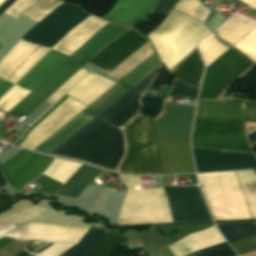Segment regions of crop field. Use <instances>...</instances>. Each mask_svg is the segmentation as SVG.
<instances>
[{
	"label": "crop field",
	"mask_w": 256,
	"mask_h": 256,
	"mask_svg": "<svg viewBox=\"0 0 256 256\" xmlns=\"http://www.w3.org/2000/svg\"><path fill=\"white\" fill-rule=\"evenodd\" d=\"M160 69L161 66L157 67L52 155L115 171L124 154L122 127L142 109L140 94Z\"/></svg>",
	"instance_id": "crop-field-1"
},
{
	"label": "crop field",
	"mask_w": 256,
	"mask_h": 256,
	"mask_svg": "<svg viewBox=\"0 0 256 256\" xmlns=\"http://www.w3.org/2000/svg\"><path fill=\"white\" fill-rule=\"evenodd\" d=\"M191 146L252 152L244 122L195 118ZM192 148L197 172L256 168L253 153Z\"/></svg>",
	"instance_id": "crop-field-2"
},
{
	"label": "crop field",
	"mask_w": 256,
	"mask_h": 256,
	"mask_svg": "<svg viewBox=\"0 0 256 256\" xmlns=\"http://www.w3.org/2000/svg\"><path fill=\"white\" fill-rule=\"evenodd\" d=\"M89 15L90 14L88 12L84 11L80 7L64 2L29 30L21 40L51 49L66 32ZM21 40H19L0 61V77L5 80H7L27 59V57L38 48V46ZM41 47L35 50L28 57L20 68L8 79V81L15 83L49 51V49ZM1 78L0 85L5 82V80ZM8 81L0 86V96H2L13 85V83Z\"/></svg>",
	"instance_id": "crop-field-3"
},
{
	"label": "crop field",
	"mask_w": 256,
	"mask_h": 256,
	"mask_svg": "<svg viewBox=\"0 0 256 256\" xmlns=\"http://www.w3.org/2000/svg\"><path fill=\"white\" fill-rule=\"evenodd\" d=\"M174 9L202 22L209 12L197 0H178ZM209 33L201 23L172 11L149 37L169 70L196 47L197 40Z\"/></svg>",
	"instance_id": "crop-field-4"
},
{
	"label": "crop field",
	"mask_w": 256,
	"mask_h": 256,
	"mask_svg": "<svg viewBox=\"0 0 256 256\" xmlns=\"http://www.w3.org/2000/svg\"><path fill=\"white\" fill-rule=\"evenodd\" d=\"M108 22L90 16L82 24L67 34L53 50L70 56L97 31ZM50 50L18 83L17 85L32 91L49 74H51L68 56ZM15 85L0 99V108L9 111L20 102L30 91Z\"/></svg>",
	"instance_id": "crop-field-5"
},
{
	"label": "crop field",
	"mask_w": 256,
	"mask_h": 256,
	"mask_svg": "<svg viewBox=\"0 0 256 256\" xmlns=\"http://www.w3.org/2000/svg\"><path fill=\"white\" fill-rule=\"evenodd\" d=\"M126 154L119 171L134 175H161V160L155 121L136 116L124 129Z\"/></svg>",
	"instance_id": "crop-field-6"
},
{
	"label": "crop field",
	"mask_w": 256,
	"mask_h": 256,
	"mask_svg": "<svg viewBox=\"0 0 256 256\" xmlns=\"http://www.w3.org/2000/svg\"><path fill=\"white\" fill-rule=\"evenodd\" d=\"M197 177L216 220L252 218L234 172Z\"/></svg>",
	"instance_id": "crop-field-7"
},
{
	"label": "crop field",
	"mask_w": 256,
	"mask_h": 256,
	"mask_svg": "<svg viewBox=\"0 0 256 256\" xmlns=\"http://www.w3.org/2000/svg\"><path fill=\"white\" fill-rule=\"evenodd\" d=\"M121 178L129 188L139 185L138 177L121 175ZM165 194L162 188L151 191L127 188L116 224L172 222Z\"/></svg>",
	"instance_id": "crop-field-8"
},
{
	"label": "crop field",
	"mask_w": 256,
	"mask_h": 256,
	"mask_svg": "<svg viewBox=\"0 0 256 256\" xmlns=\"http://www.w3.org/2000/svg\"><path fill=\"white\" fill-rule=\"evenodd\" d=\"M253 64L231 47L206 68L198 99L215 100L238 75Z\"/></svg>",
	"instance_id": "crop-field-9"
},
{
	"label": "crop field",
	"mask_w": 256,
	"mask_h": 256,
	"mask_svg": "<svg viewBox=\"0 0 256 256\" xmlns=\"http://www.w3.org/2000/svg\"><path fill=\"white\" fill-rule=\"evenodd\" d=\"M68 96L64 95L55 105H53L43 116H41L31 127H29L19 139L23 142L28 133L36 127L45 117H47L57 106H59ZM87 106L68 97L58 108H56L47 118H45L35 129H33L26 140L20 146L34 150L52 134L64 126Z\"/></svg>",
	"instance_id": "crop-field-10"
},
{
	"label": "crop field",
	"mask_w": 256,
	"mask_h": 256,
	"mask_svg": "<svg viewBox=\"0 0 256 256\" xmlns=\"http://www.w3.org/2000/svg\"><path fill=\"white\" fill-rule=\"evenodd\" d=\"M169 205L203 202L197 187H163ZM173 221L211 220L204 203L169 206Z\"/></svg>",
	"instance_id": "crop-field-11"
},
{
	"label": "crop field",
	"mask_w": 256,
	"mask_h": 256,
	"mask_svg": "<svg viewBox=\"0 0 256 256\" xmlns=\"http://www.w3.org/2000/svg\"><path fill=\"white\" fill-rule=\"evenodd\" d=\"M52 158L21 150L2 165V174L16 190L36 178Z\"/></svg>",
	"instance_id": "crop-field-12"
},
{
	"label": "crop field",
	"mask_w": 256,
	"mask_h": 256,
	"mask_svg": "<svg viewBox=\"0 0 256 256\" xmlns=\"http://www.w3.org/2000/svg\"><path fill=\"white\" fill-rule=\"evenodd\" d=\"M246 121L256 122V103L244 101ZM195 117L244 121L243 101H198Z\"/></svg>",
	"instance_id": "crop-field-13"
},
{
	"label": "crop field",
	"mask_w": 256,
	"mask_h": 256,
	"mask_svg": "<svg viewBox=\"0 0 256 256\" xmlns=\"http://www.w3.org/2000/svg\"><path fill=\"white\" fill-rule=\"evenodd\" d=\"M106 231L107 229H105L100 223L97 222L93 224L81 242L79 241L80 243L78 245L73 246L61 256L85 255L94 248V246L100 241ZM123 241L124 238L118 237L107 231V233L96 245V247L85 256H108L113 251V249L120 245Z\"/></svg>",
	"instance_id": "crop-field-14"
},
{
	"label": "crop field",
	"mask_w": 256,
	"mask_h": 256,
	"mask_svg": "<svg viewBox=\"0 0 256 256\" xmlns=\"http://www.w3.org/2000/svg\"><path fill=\"white\" fill-rule=\"evenodd\" d=\"M146 42L137 34L129 31L107 45L89 63L110 72Z\"/></svg>",
	"instance_id": "crop-field-15"
},
{
	"label": "crop field",
	"mask_w": 256,
	"mask_h": 256,
	"mask_svg": "<svg viewBox=\"0 0 256 256\" xmlns=\"http://www.w3.org/2000/svg\"><path fill=\"white\" fill-rule=\"evenodd\" d=\"M163 174L195 172L189 140L159 138Z\"/></svg>",
	"instance_id": "crop-field-16"
},
{
	"label": "crop field",
	"mask_w": 256,
	"mask_h": 256,
	"mask_svg": "<svg viewBox=\"0 0 256 256\" xmlns=\"http://www.w3.org/2000/svg\"><path fill=\"white\" fill-rule=\"evenodd\" d=\"M158 0H118L103 18L134 27L156 6Z\"/></svg>",
	"instance_id": "crop-field-17"
},
{
	"label": "crop field",
	"mask_w": 256,
	"mask_h": 256,
	"mask_svg": "<svg viewBox=\"0 0 256 256\" xmlns=\"http://www.w3.org/2000/svg\"><path fill=\"white\" fill-rule=\"evenodd\" d=\"M219 231L230 243L256 234L253 223L223 224L218 226ZM238 255L256 249V235L230 243Z\"/></svg>",
	"instance_id": "crop-field-18"
},
{
	"label": "crop field",
	"mask_w": 256,
	"mask_h": 256,
	"mask_svg": "<svg viewBox=\"0 0 256 256\" xmlns=\"http://www.w3.org/2000/svg\"><path fill=\"white\" fill-rule=\"evenodd\" d=\"M114 84L115 82L90 73L74 86L67 95L89 106Z\"/></svg>",
	"instance_id": "crop-field-19"
},
{
	"label": "crop field",
	"mask_w": 256,
	"mask_h": 256,
	"mask_svg": "<svg viewBox=\"0 0 256 256\" xmlns=\"http://www.w3.org/2000/svg\"><path fill=\"white\" fill-rule=\"evenodd\" d=\"M93 118L95 117L82 111L35 150L50 154Z\"/></svg>",
	"instance_id": "crop-field-20"
},
{
	"label": "crop field",
	"mask_w": 256,
	"mask_h": 256,
	"mask_svg": "<svg viewBox=\"0 0 256 256\" xmlns=\"http://www.w3.org/2000/svg\"><path fill=\"white\" fill-rule=\"evenodd\" d=\"M203 70L204 65L196 48L170 72L177 78L199 88Z\"/></svg>",
	"instance_id": "crop-field-21"
},
{
	"label": "crop field",
	"mask_w": 256,
	"mask_h": 256,
	"mask_svg": "<svg viewBox=\"0 0 256 256\" xmlns=\"http://www.w3.org/2000/svg\"><path fill=\"white\" fill-rule=\"evenodd\" d=\"M255 26L256 21L236 13L231 19L217 29V35L234 45Z\"/></svg>",
	"instance_id": "crop-field-22"
},
{
	"label": "crop field",
	"mask_w": 256,
	"mask_h": 256,
	"mask_svg": "<svg viewBox=\"0 0 256 256\" xmlns=\"http://www.w3.org/2000/svg\"><path fill=\"white\" fill-rule=\"evenodd\" d=\"M99 170L81 166L78 171L56 193L77 197L97 176Z\"/></svg>",
	"instance_id": "crop-field-23"
},
{
	"label": "crop field",
	"mask_w": 256,
	"mask_h": 256,
	"mask_svg": "<svg viewBox=\"0 0 256 256\" xmlns=\"http://www.w3.org/2000/svg\"><path fill=\"white\" fill-rule=\"evenodd\" d=\"M253 218H256V175L253 170L235 172Z\"/></svg>",
	"instance_id": "crop-field-24"
},
{
	"label": "crop field",
	"mask_w": 256,
	"mask_h": 256,
	"mask_svg": "<svg viewBox=\"0 0 256 256\" xmlns=\"http://www.w3.org/2000/svg\"><path fill=\"white\" fill-rule=\"evenodd\" d=\"M153 52L154 51L148 41L107 75L120 80Z\"/></svg>",
	"instance_id": "crop-field-25"
},
{
	"label": "crop field",
	"mask_w": 256,
	"mask_h": 256,
	"mask_svg": "<svg viewBox=\"0 0 256 256\" xmlns=\"http://www.w3.org/2000/svg\"><path fill=\"white\" fill-rule=\"evenodd\" d=\"M198 48L202 54L206 67L228 49L215 39L213 33L199 41Z\"/></svg>",
	"instance_id": "crop-field-26"
},
{
	"label": "crop field",
	"mask_w": 256,
	"mask_h": 256,
	"mask_svg": "<svg viewBox=\"0 0 256 256\" xmlns=\"http://www.w3.org/2000/svg\"><path fill=\"white\" fill-rule=\"evenodd\" d=\"M79 166V164L56 159L43 174L65 183Z\"/></svg>",
	"instance_id": "crop-field-27"
},
{
	"label": "crop field",
	"mask_w": 256,
	"mask_h": 256,
	"mask_svg": "<svg viewBox=\"0 0 256 256\" xmlns=\"http://www.w3.org/2000/svg\"><path fill=\"white\" fill-rule=\"evenodd\" d=\"M62 3L59 0H40L23 15L38 22Z\"/></svg>",
	"instance_id": "crop-field-28"
},
{
	"label": "crop field",
	"mask_w": 256,
	"mask_h": 256,
	"mask_svg": "<svg viewBox=\"0 0 256 256\" xmlns=\"http://www.w3.org/2000/svg\"><path fill=\"white\" fill-rule=\"evenodd\" d=\"M237 50L256 62V27L235 44Z\"/></svg>",
	"instance_id": "crop-field-29"
},
{
	"label": "crop field",
	"mask_w": 256,
	"mask_h": 256,
	"mask_svg": "<svg viewBox=\"0 0 256 256\" xmlns=\"http://www.w3.org/2000/svg\"><path fill=\"white\" fill-rule=\"evenodd\" d=\"M183 256H236V254L224 241Z\"/></svg>",
	"instance_id": "crop-field-30"
},
{
	"label": "crop field",
	"mask_w": 256,
	"mask_h": 256,
	"mask_svg": "<svg viewBox=\"0 0 256 256\" xmlns=\"http://www.w3.org/2000/svg\"><path fill=\"white\" fill-rule=\"evenodd\" d=\"M198 90V88L176 79L168 97H187L196 100Z\"/></svg>",
	"instance_id": "crop-field-31"
},
{
	"label": "crop field",
	"mask_w": 256,
	"mask_h": 256,
	"mask_svg": "<svg viewBox=\"0 0 256 256\" xmlns=\"http://www.w3.org/2000/svg\"><path fill=\"white\" fill-rule=\"evenodd\" d=\"M88 72L79 69L71 76L55 93H53L46 101L51 106L60 96H62L69 88H71L78 80H80Z\"/></svg>",
	"instance_id": "crop-field-32"
},
{
	"label": "crop field",
	"mask_w": 256,
	"mask_h": 256,
	"mask_svg": "<svg viewBox=\"0 0 256 256\" xmlns=\"http://www.w3.org/2000/svg\"><path fill=\"white\" fill-rule=\"evenodd\" d=\"M39 0H17L11 7H9L4 13L10 15L13 18L19 17L28 8L34 5Z\"/></svg>",
	"instance_id": "crop-field-33"
},
{
	"label": "crop field",
	"mask_w": 256,
	"mask_h": 256,
	"mask_svg": "<svg viewBox=\"0 0 256 256\" xmlns=\"http://www.w3.org/2000/svg\"><path fill=\"white\" fill-rule=\"evenodd\" d=\"M54 243L52 242H44V241H36L20 253L15 256H36L38 253L43 251L45 248L49 247Z\"/></svg>",
	"instance_id": "crop-field-34"
},
{
	"label": "crop field",
	"mask_w": 256,
	"mask_h": 256,
	"mask_svg": "<svg viewBox=\"0 0 256 256\" xmlns=\"http://www.w3.org/2000/svg\"><path fill=\"white\" fill-rule=\"evenodd\" d=\"M127 90H129V88L123 86L116 93H114L110 98H108L104 103H102L98 108H96V110L101 112L107 106H109L112 102H114L117 98H119L122 94H124Z\"/></svg>",
	"instance_id": "crop-field-35"
},
{
	"label": "crop field",
	"mask_w": 256,
	"mask_h": 256,
	"mask_svg": "<svg viewBox=\"0 0 256 256\" xmlns=\"http://www.w3.org/2000/svg\"><path fill=\"white\" fill-rule=\"evenodd\" d=\"M174 3V0H160L158 6L155 8L154 11L163 14H168Z\"/></svg>",
	"instance_id": "crop-field-36"
},
{
	"label": "crop field",
	"mask_w": 256,
	"mask_h": 256,
	"mask_svg": "<svg viewBox=\"0 0 256 256\" xmlns=\"http://www.w3.org/2000/svg\"><path fill=\"white\" fill-rule=\"evenodd\" d=\"M4 0H0V3H2ZM15 0H5L2 4H0V14L9 7Z\"/></svg>",
	"instance_id": "crop-field-37"
},
{
	"label": "crop field",
	"mask_w": 256,
	"mask_h": 256,
	"mask_svg": "<svg viewBox=\"0 0 256 256\" xmlns=\"http://www.w3.org/2000/svg\"><path fill=\"white\" fill-rule=\"evenodd\" d=\"M247 138H248V141H249L250 146L253 145V144H255V142H256V131H254V132L248 134V135H247Z\"/></svg>",
	"instance_id": "crop-field-38"
},
{
	"label": "crop field",
	"mask_w": 256,
	"mask_h": 256,
	"mask_svg": "<svg viewBox=\"0 0 256 256\" xmlns=\"http://www.w3.org/2000/svg\"><path fill=\"white\" fill-rule=\"evenodd\" d=\"M240 1L256 9V0H240Z\"/></svg>",
	"instance_id": "crop-field-39"
},
{
	"label": "crop field",
	"mask_w": 256,
	"mask_h": 256,
	"mask_svg": "<svg viewBox=\"0 0 256 256\" xmlns=\"http://www.w3.org/2000/svg\"><path fill=\"white\" fill-rule=\"evenodd\" d=\"M233 97L249 100V98H250L251 96H244V95H240V94L233 93V94H232V98H233Z\"/></svg>",
	"instance_id": "crop-field-40"
},
{
	"label": "crop field",
	"mask_w": 256,
	"mask_h": 256,
	"mask_svg": "<svg viewBox=\"0 0 256 256\" xmlns=\"http://www.w3.org/2000/svg\"><path fill=\"white\" fill-rule=\"evenodd\" d=\"M6 182H5V180L2 178V176H1V174H0V187L2 186V185H4Z\"/></svg>",
	"instance_id": "crop-field-41"
}]
</instances>
